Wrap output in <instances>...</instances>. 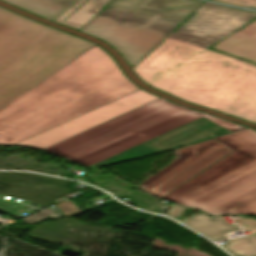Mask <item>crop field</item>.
<instances>
[{
	"label": "crop field",
	"mask_w": 256,
	"mask_h": 256,
	"mask_svg": "<svg viewBox=\"0 0 256 256\" xmlns=\"http://www.w3.org/2000/svg\"><path fill=\"white\" fill-rule=\"evenodd\" d=\"M210 239L216 241L231 237L243 236L234 224H229L223 216H214L210 218L208 215L197 213L181 221Z\"/></svg>",
	"instance_id": "crop-field-13"
},
{
	"label": "crop field",
	"mask_w": 256,
	"mask_h": 256,
	"mask_svg": "<svg viewBox=\"0 0 256 256\" xmlns=\"http://www.w3.org/2000/svg\"><path fill=\"white\" fill-rule=\"evenodd\" d=\"M250 129L215 138L227 130L202 117L89 168L96 169L214 138L234 152L163 199L210 215L256 216V132ZM236 223L246 235L256 233V220L245 218Z\"/></svg>",
	"instance_id": "crop-field-1"
},
{
	"label": "crop field",
	"mask_w": 256,
	"mask_h": 256,
	"mask_svg": "<svg viewBox=\"0 0 256 256\" xmlns=\"http://www.w3.org/2000/svg\"><path fill=\"white\" fill-rule=\"evenodd\" d=\"M19 16L0 8V110L95 45Z\"/></svg>",
	"instance_id": "crop-field-3"
},
{
	"label": "crop field",
	"mask_w": 256,
	"mask_h": 256,
	"mask_svg": "<svg viewBox=\"0 0 256 256\" xmlns=\"http://www.w3.org/2000/svg\"><path fill=\"white\" fill-rule=\"evenodd\" d=\"M203 3L196 0H174L118 51L129 64L135 66Z\"/></svg>",
	"instance_id": "crop-field-9"
},
{
	"label": "crop field",
	"mask_w": 256,
	"mask_h": 256,
	"mask_svg": "<svg viewBox=\"0 0 256 256\" xmlns=\"http://www.w3.org/2000/svg\"><path fill=\"white\" fill-rule=\"evenodd\" d=\"M254 18L256 12L205 3L195 16L133 69L150 84Z\"/></svg>",
	"instance_id": "crop-field-6"
},
{
	"label": "crop field",
	"mask_w": 256,
	"mask_h": 256,
	"mask_svg": "<svg viewBox=\"0 0 256 256\" xmlns=\"http://www.w3.org/2000/svg\"><path fill=\"white\" fill-rule=\"evenodd\" d=\"M188 207L180 206L177 204H174L170 207V209L167 211L168 216L170 217H176L180 213L184 212Z\"/></svg>",
	"instance_id": "crop-field-18"
},
{
	"label": "crop field",
	"mask_w": 256,
	"mask_h": 256,
	"mask_svg": "<svg viewBox=\"0 0 256 256\" xmlns=\"http://www.w3.org/2000/svg\"><path fill=\"white\" fill-rule=\"evenodd\" d=\"M229 133H231V132L227 131V132H225V133H223V134H221L219 136H223V135H226V134H229ZM219 136H217V137H219Z\"/></svg>",
	"instance_id": "crop-field-20"
},
{
	"label": "crop field",
	"mask_w": 256,
	"mask_h": 256,
	"mask_svg": "<svg viewBox=\"0 0 256 256\" xmlns=\"http://www.w3.org/2000/svg\"><path fill=\"white\" fill-rule=\"evenodd\" d=\"M216 2L226 3L240 7H254L256 8V0H212Z\"/></svg>",
	"instance_id": "crop-field-17"
},
{
	"label": "crop field",
	"mask_w": 256,
	"mask_h": 256,
	"mask_svg": "<svg viewBox=\"0 0 256 256\" xmlns=\"http://www.w3.org/2000/svg\"><path fill=\"white\" fill-rule=\"evenodd\" d=\"M146 0H112L104 11L94 16L80 31L104 40Z\"/></svg>",
	"instance_id": "crop-field-10"
},
{
	"label": "crop field",
	"mask_w": 256,
	"mask_h": 256,
	"mask_svg": "<svg viewBox=\"0 0 256 256\" xmlns=\"http://www.w3.org/2000/svg\"><path fill=\"white\" fill-rule=\"evenodd\" d=\"M89 1H93V2H97V3H100V4L106 5L111 0H89Z\"/></svg>",
	"instance_id": "crop-field-19"
},
{
	"label": "crop field",
	"mask_w": 256,
	"mask_h": 256,
	"mask_svg": "<svg viewBox=\"0 0 256 256\" xmlns=\"http://www.w3.org/2000/svg\"><path fill=\"white\" fill-rule=\"evenodd\" d=\"M136 90L95 45L0 111V144H15Z\"/></svg>",
	"instance_id": "crop-field-2"
},
{
	"label": "crop field",
	"mask_w": 256,
	"mask_h": 256,
	"mask_svg": "<svg viewBox=\"0 0 256 256\" xmlns=\"http://www.w3.org/2000/svg\"><path fill=\"white\" fill-rule=\"evenodd\" d=\"M149 86L256 123V65L206 50Z\"/></svg>",
	"instance_id": "crop-field-4"
},
{
	"label": "crop field",
	"mask_w": 256,
	"mask_h": 256,
	"mask_svg": "<svg viewBox=\"0 0 256 256\" xmlns=\"http://www.w3.org/2000/svg\"><path fill=\"white\" fill-rule=\"evenodd\" d=\"M53 21L78 0H4Z\"/></svg>",
	"instance_id": "crop-field-14"
},
{
	"label": "crop field",
	"mask_w": 256,
	"mask_h": 256,
	"mask_svg": "<svg viewBox=\"0 0 256 256\" xmlns=\"http://www.w3.org/2000/svg\"><path fill=\"white\" fill-rule=\"evenodd\" d=\"M224 246L234 256H256V235L229 240Z\"/></svg>",
	"instance_id": "crop-field-16"
},
{
	"label": "crop field",
	"mask_w": 256,
	"mask_h": 256,
	"mask_svg": "<svg viewBox=\"0 0 256 256\" xmlns=\"http://www.w3.org/2000/svg\"><path fill=\"white\" fill-rule=\"evenodd\" d=\"M211 48L256 63V21Z\"/></svg>",
	"instance_id": "crop-field-12"
},
{
	"label": "crop field",
	"mask_w": 256,
	"mask_h": 256,
	"mask_svg": "<svg viewBox=\"0 0 256 256\" xmlns=\"http://www.w3.org/2000/svg\"><path fill=\"white\" fill-rule=\"evenodd\" d=\"M103 7L104 5L80 0L54 20V22L65 24L79 30Z\"/></svg>",
	"instance_id": "crop-field-15"
},
{
	"label": "crop field",
	"mask_w": 256,
	"mask_h": 256,
	"mask_svg": "<svg viewBox=\"0 0 256 256\" xmlns=\"http://www.w3.org/2000/svg\"><path fill=\"white\" fill-rule=\"evenodd\" d=\"M201 116L232 132L247 129L161 98L46 150L91 166Z\"/></svg>",
	"instance_id": "crop-field-5"
},
{
	"label": "crop field",
	"mask_w": 256,
	"mask_h": 256,
	"mask_svg": "<svg viewBox=\"0 0 256 256\" xmlns=\"http://www.w3.org/2000/svg\"><path fill=\"white\" fill-rule=\"evenodd\" d=\"M159 98L138 90L15 145L45 149Z\"/></svg>",
	"instance_id": "crop-field-8"
},
{
	"label": "crop field",
	"mask_w": 256,
	"mask_h": 256,
	"mask_svg": "<svg viewBox=\"0 0 256 256\" xmlns=\"http://www.w3.org/2000/svg\"><path fill=\"white\" fill-rule=\"evenodd\" d=\"M179 151L181 158L136 188L147 186L141 190L162 198L233 152L214 139Z\"/></svg>",
	"instance_id": "crop-field-7"
},
{
	"label": "crop field",
	"mask_w": 256,
	"mask_h": 256,
	"mask_svg": "<svg viewBox=\"0 0 256 256\" xmlns=\"http://www.w3.org/2000/svg\"><path fill=\"white\" fill-rule=\"evenodd\" d=\"M173 0H147L104 41L118 50Z\"/></svg>",
	"instance_id": "crop-field-11"
}]
</instances>
